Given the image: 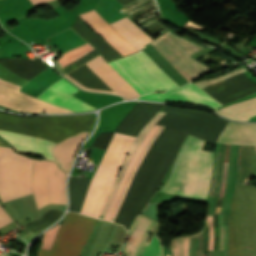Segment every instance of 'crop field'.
I'll use <instances>...</instances> for the list:
<instances>
[{
  "mask_svg": "<svg viewBox=\"0 0 256 256\" xmlns=\"http://www.w3.org/2000/svg\"><path fill=\"white\" fill-rule=\"evenodd\" d=\"M12 222L9 216L0 208V227Z\"/></svg>",
  "mask_w": 256,
  "mask_h": 256,
  "instance_id": "4a817a6b",
  "label": "crop field"
},
{
  "mask_svg": "<svg viewBox=\"0 0 256 256\" xmlns=\"http://www.w3.org/2000/svg\"><path fill=\"white\" fill-rule=\"evenodd\" d=\"M1 256H7V255H1Z\"/></svg>",
  "mask_w": 256,
  "mask_h": 256,
  "instance_id": "bc2a9ffb",
  "label": "crop field"
},
{
  "mask_svg": "<svg viewBox=\"0 0 256 256\" xmlns=\"http://www.w3.org/2000/svg\"><path fill=\"white\" fill-rule=\"evenodd\" d=\"M94 50L88 43L66 52L59 61L63 67ZM102 57H97L87 64L118 94L125 99H135L139 94L127 84Z\"/></svg>",
  "mask_w": 256,
  "mask_h": 256,
  "instance_id": "e52e79f7",
  "label": "crop field"
},
{
  "mask_svg": "<svg viewBox=\"0 0 256 256\" xmlns=\"http://www.w3.org/2000/svg\"><path fill=\"white\" fill-rule=\"evenodd\" d=\"M62 214L63 213L60 211L51 210L47 212L46 215L41 219L25 224V226L28 227L31 231H33L37 235L42 229L56 222Z\"/></svg>",
  "mask_w": 256,
  "mask_h": 256,
  "instance_id": "d9b57169",
  "label": "crop field"
},
{
  "mask_svg": "<svg viewBox=\"0 0 256 256\" xmlns=\"http://www.w3.org/2000/svg\"><path fill=\"white\" fill-rule=\"evenodd\" d=\"M0 146V200L30 193L32 158ZM16 177V189H15ZM66 174L52 161L34 159L31 192L38 209L50 203L66 204Z\"/></svg>",
  "mask_w": 256,
  "mask_h": 256,
  "instance_id": "ac0d7876",
  "label": "crop field"
},
{
  "mask_svg": "<svg viewBox=\"0 0 256 256\" xmlns=\"http://www.w3.org/2000/svg\"><path fill=\"white\" fill-rule=\"evenodd\" d=\"M202 144L188 135L160 191L206 199L213 153L198 151Z\"/></svg>",
  "mask_w": 256,
  "mask_h": 256,
  "instance_id": "34b2d1b8",
  "label": "crop field"
},
{
  "mask_svg": "<svg viewBox=\"0 0 256 256\" xmlns=\"http://www.w3.org/2000/svg\"><path fill=\"white\" fill-rule=\"evenodd\" d=\"M219 222H220L219 250L228 251L229 228L228 226H224L222 215H219Z\"/></svg>",
  "mask_w": 256,
  "mask_h": 256,
  "instance_id": "733c2abd",
  "label": "crop field"
},
{
  "mask_svg": "<svg viewBox=\"0 0 256 256\" xmlns=\"http://www.w3.org/2000/svg\"><path fill=\"white\" fill-rule=\"evenodd\" d=\"M138 50L145 48V44L153 40L139 29L127 17L110 25Z\"/></svg>",
  "mask_w": 256,
  "mask_h": 256,
  "instance_id": "cbeb9de0",
  "label": "crop field"
},
{
  "mask_svg": "<svg viewBox=\"0 0 256 256\" xmlns=\"http://www.w3.org/2000/svg\"><path fill=\"white\" fill-rule=\"evenodd\" d=\"M96 219L67 213L50 250L40 249L37 256H78Z\"/></svg>",
  "mask_w": 256,
  "mask_h": 256,
  "instance_id": "dd49c442",
  "label": "crop field"
},
{
  "mask_svg": "<svg viewBox=\"0 0 256 256\" xmlns=\"http://www.w3.org/2000/svg\"><path fill=\"white\" fill-rule=\"evenodd\" d=\"M87 134L88 132H80L77 136L71 137L53 147V155L55 159L60 163V167L66 172H68L75 153Z\"/></svg>",
  "mask_w": 256,
  "mask_h": 256,
  "instance_id": "22f410ed",
  "label": "crop field"
},
{
  "mask_svg": "<svg viewBox=\"0 0 256 256\" xmlns=\"http://www.w3.org/2000/svg\"><path fill=\"white\" fill-rule=\"evenodd\" d=\"M138 99L176 101L191 104H200L210 107L214 111L217 110L215 108L222 106L193 83H189L178 89L168 90L166 94H146L144 96L139 97Z\"/></svg>",
  "mask_w": 256,
  "mask_h": 256,
  "instance_id": "5a996713",
  "label": "crop field"
},
{
  "mask_svg": "<svg viewBox=\"0 0 256 256\" xmlns=\"http://www.w3.org/2000/svg\"><path fill=\"white\" fill-rule=\"evenodd\" d=\"M216 112L230 119L248 121L250 117L256 115V97L221 108Z\"/></svg>",
  "mask_w": 256,
  "mask_h": 256,
  "instance_id": "5142ce71",
  "label": "crop field"
},
{
  "mask_svg": "<svg viewBox=\"0 0 256 256\" xmlns=\"http://www.w3.org/2000/svg\"><path fill=\"white\" fill-rule=\"evenodd\" d=\"M156 222L139 215L130 231L126 245V256H142L147 240ZM144 256H162L161 246L150 243L147 245Z\"/></svg>",
  "mask_w": 256,
  "mask_h": 256,
  "instance_id": "d8731c3e",
  "label": "crop field"
},
{
  "mask_svg": "<svg viewBox=\"0 0 256 256\" xmlns=\"http://www.w3.org/2000/svg\"><path fill=\"white\" fill-rule=\"evenodd\" d=\"M0 135L13 144L17 150L23 153L43 156L57 162L52 156V147L55 145V143L51 141L1 130ZM57 164L59 165L58 162Z\"/></svg>",
  "mask_w": 256,
  "mask_h": 256,
  "instance_id": "28ad6ade",
  "label": "crop field"
},
{
  "mask_svg": "<svg viewBox=\"0 0 256 256\" xmlns=\"http://www.w3.org/2000/svg\"><path fill=\"white\" fill-rule=\"evenodd\" d=\"M217 142L248 144L256 147V124L228 122Z\"/></svg>",
  "mask_w": 256,
  "mask_h": 256,
  "instance_id": "d1516ede",
  "label": "crop field"
},
{
  "mask_svg": "<svg viewBox=\"0 0 256 256\" xmlns=\"http://www.w3.org/2000/svg\"><path fill=\"white\" fill-rule=\"evenodd\" d=\"M133 139L134 137L120 133H116L113 140L111 139L112 142L92 180L81 213L98 218Z\"/></svg>",
  "mask_w": 256,
  "mask_h": 256,
  "instance_id": "412701ff",
  "label": "crop field"
},
{
  "mask_svg": "<svg viewBox=\"0 0 256 256\" xmlns=\"http://www.w3.org/2000/svg\"><path fill=\"white\" fill-rule=\"evenodd\" d=\"M77 91L79 90L62 78L60 81L47 88L44 92L37 96V98L62 108L78 112L95 109L94 107L72 97V94L76 93Z\"/></svg>",
  "mask_w": 256,
  "mask_h": 256,
  "instance_id": "3316defc",
  "label": "crop field"
},
{
  "mask_svg": "<svg viewBox=\"0 0 256 256\" xmlns=\"http://www.w3.org/2000/svg\"><path fill=\"white\" fill-rule=\"evenodd\" d=\"M164 129L165 127L155 125L149 131L131 159L104 219L115 222ZM187 133L208 140L192 132L166 127L116 223L123 224L126 229L131 227L136 215L145 208L148 200L167 180L174 158Z\"/></svg>",
  "mask_w": 256,
  "mask_h": 256,
  "instance_id": "8a807250",
  "label": "crop field"
},
{
  "mask_svg": "<svg viewBox=\"0 0 256 256\" xmlns=\"http://www.w3.org/2000/svg\"><path fill=\"white\" fill-rule=\"evenodd\" d=\"M108 64L140 95L179 87L142 50Z\"/></svg>",
  "mask_w": 256,
  "mask_h": 256,
  "instance_id": "f4fd0767",
  "label": "crop field"
}]
</instances>
